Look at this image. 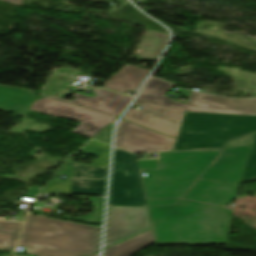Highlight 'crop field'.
Returning <instances> with one entry per match:
<instances>
[{"instance_id":"obj_1","label":"crop field","mask_w":256,"mask_h":256,"mask_svg":"<svg viewBox=\"0 0 256 256\" xmlns=\"http://www.w3.org/2000/svg\"><path fill=\"white\" fill-rule=\"evenodd\" d=\"M157 244H223L232 210L180 200L174 206L150 207Z\"/></svg>"},{"instance_id":"obj_2","label":"crop field","mask_w":256,"mask_h":256,"mask_svg":"<svg viewBox=\"0 0 256 256\" xmlns=\"http://www.w3.org/2000/svg\"><path fill=\"white\" fill-rule=\"evenodd\" d=\"M100 228L28 216L19 246L33 256H85L98 251Z\"/></svg>"},{"instance_id":"obj_3","label":"crop field","mask_w":256,"mask_h":256,"mask_svg":"<svg viewBox=\"0 0 256 256\" xmlns=\"http://www.w3.org/2000/svg\"><path fill=\"white\" fill-rule=\"evenodd\" d=\"M221 150L160 154V170H143L147 198L181 197Z\"/></svg>"},{"instance_id":"obj_4","label":"crop field","mask_w":256,"mask_h":256,"mask_svg":"<svg viewBox=\"0 0 256 256\" xmlns=\"http://www.w3.org/2000/svg\"><path fill=\"white\" fill-rule=\"evenodd\" d=\"M175 150L223 147L230 139L256 132V116L185 114Z\"/></svg>"},{"instance_id":"obj_5","label":"crop field","mask_w":256,"mask_h":256,"mask_svg":"<svg viewBox=\"0 0 256 256\" xmlns=\"http://www.w3.org/2000/svg\"><path fill=\"white\" fill-rule=\"evenodd\" d=\"M173 85L150 78L138 99L193 112L256 115V99H229L211 94L193 92L190 101L177 103L165 96Z\"/></svg>"},{"instance_id":"obj_6","label":"crop field","mask_w":256,"mask_h":256,"mask_svg":"<svg viewBox=\"0 0 256 256\" xmlns=\"http://www.w3.org/2000/svg\"><path fill=\"white\" fill-rule=\"evenodd\" d=\"M108 146L92 141L80 151L99 158L90 166L68 162L71 179L62 181L56 177L44 192L104 196L108 171Z\"/></svg>"},{"instance_id":"obj_7","label":"crop field","mask_w":256,"mask_h":256,"mask_svg":"<svg viewBox=\"0 0 256 256\" xmlns=\"http://www.w3.org/2000/svg\"><path fill=\"white\" fill-rule=\"evenodd\" d=\"M110 206L146 207L137 157L117 148Z\"/></svg>"},{"instance_id":"obj_8","label":"crop field","mask_w":256,"mask_h":256,"mask_svg":"<svg viewBox=\"0 0 256 256\" xmlns=\"http://www.w3.org/2000/svg\"><path fill=\"white\" fill-rule=\"evenodd\" d=\"M32 110L55 117H66L81 121L72 132L92 138L117 117L101 114L50 98L37 100Z\"/></svg>"},{"instance_id":"obj_9","label":"crop field","mask_w":256,"mask_h":256,"mask_svg":"<svg viewBox=\"0 0 256 256\" xmlns=\"http://www.w3.org/2000/svg\"><path fill=\"white\" fill-rule=\"evenodd\" d=\"M135 104L141 105L139 110L129 109L125 120L142 125L144 127L177 137L184 111L156 105L142 100H135Z\"/></svg>"},{"instance_id":"obj_10","label":"crop field","mask_w":256,"mask_h":256,"mask_svg":"<svg viewBox=\"0 0 256 256\" xmlns=\"http://www.w3.org/2000/svg\"><path fill=\"white\" fill-rule=\"evenodd\" d=\"M151 228L146 208L109 207L106 246Z\"/></svg>"},{"instance_id":"obj_11","label":"crop field","mask_w":256,"mask_h":256,"mask_svg":"<svg viewBox=\"0 0 256 256\" xmlns=\"http://www.w3.org/2000/svg\"><path fill=\"white\" fill-rule=\"evenodd\" d=\"M174 140L122 120L115 146L134 153L172 151Z\"/></svg>"},{"instance_id":"obj_12","label":"crop field","mask_w":256,"mask_h":256,"mask_svg":"<svg viewBox=\"0 0 256 256\" xmlns=\"http://www.w3.org/2000/svg\"><path fill=\"white\" fill-rule=\"evenodd\" d=\"M250 148H224L220 157L201 178L232 186H239Z\"/></svg>"},{"instance_id":"obj_13","label":"crop field","mask_w":256,"mask_h":256,"mask_svg":"<svg viewBox=\"0 0 256 256\" xmlns=\"http://www.w3.org/2000/svg\"><path fill=\"white\" fill-rule=\"evenodd\" d=\"M94 91L97 95L95 98L76 93L74 94L76 99L73 102L54 96L50 98L113 116L120 115L131 100V97L116 94L104 89H94Z\"/></svg>"},{"instance_id":"obj_14","label":"crop field","mask_w":256,"mask_h":256,"mask_svg":"<svg viewBox=\"0 0 256 256\" xmlns=\"http://www.w3.org/2000/svg\"><path fill=\"white\" fill-rule=\"evenodd\" d=\"M238 188L199 179L183 198L224 206L236 198Z\"/></svg>"},{"instance_id":"obj_15","label":"crop field","mask_w":256,"mask_h":256,"mask_svg":"<svg viewBox=\"0 0 256 256\" xmlns=\"http://www.w3.org/2000/svg\"><path fill=\"white\" fill-rule=\"evenodd\" d=\"M36 96L33 91L0 85V111L27 116Z\"/></svg>"},{"instance_id":"obj_16","label":"crop field","mask_w":256,"mask_h":256,"mask_svg":"<svg viewBox=\"0 0 256 256\" xmlns=\"http://www.w3.org/2000/svg\"><path fill=\"white\" fill-rule=\"evenodd\" d=\"M149 70L127 64L111 77L104 87L123 93L136 91L148 75Z\"/></svg>"},{"instance_id":"obj_17","label":"crop field","mask_w":256,"mask_h":256,"mask_svg":"<svg viewBox=\"0 0 256 256\" xmlns=\"http://www.w3.org/2000/svg\"><path fill=\"white\" fill-rule=\"evenodd\" d=\"M169 39L168 35L148 29L137 53L139 57L159 58Z\"/></svg>"},{"instance_id":"obj_18","label":"crop field","mask_w":256,"mask_h":256,"mask_svg":"<svg viewBox=\"0 0 256 256\" xmlns=\"http://www.w3.org/2000/svg\"><path fill=\"white\" fill-rule=\"evenodd\" d=\"M155 242L153 232L150 231L126 242L105 250L104 256H130L133 253Z\"/></svg>"},{"instance_id":"obj_19","label":"crop field","mask_w":256,"mask_h":256,"mask_svg":"<svg viewBox=\"0 0 256 256\" xmlns=\"http://www.w3.org/2000/svg\"><path fill=\"white\" fill-rule=\"evenodd\" d=\"M253 145V148L248 155L244 173L242 176L241 183L249 182L256 180V134L250 135L248 137L235 140L229 143L228 147L231 146H250ZM240 183V184H241Z\"/></svg>"},{"instance_id":"obj_20","label":"crop field","mask_w":256,"mask_h":256,"mask_svg":"<svg viewBox=\"0 0 256 256\" xmlns=\"http://www.w3.org/2000/svg\"><path fill=\"white\" fill-rule=\"evenodd\" d=\"M21 224L0 222V249L10 250L14 247Z\"/></svg>"},{"instance_id":"obj_21","label":"crop field","mask_w":256,"mask_h":256,"mask_svg":"<svg viewBox=\"0 0 256 256\" xmlns=\"http://www.w3.org/2000/svg\"><path fill=\"white\" fill-rule=\"evenodd\" d=\"M89 200L94 205V210L90 215L79 217V218H72L68 216H64L62 218L101 225L104 199L89 198Z\"/></svg>"},{"instance_id":"obj_22","label":"crop field","mask_w":256,"mask_h":256,"mask_svg":"<svg viewBox=\"0 0 256 256\" xmlns=\"http://www.w3.org/2000/svg\"><path fill=\"white\" fill-rule=\"evenodd\" d=\"M178 199L146 200L147 206L175 204Z\"/></svg>"},{"instance_id":"obj_23","label":"crop field","mask_w":256,"mask_h":256,"mask_svg":"<svg viewBox=\"0 0 256 256\" xmlns=\"http://www.w3.org/2000/svg\"><path fill=\"white\" fill-rule=\"evenodd\" d=\"M111 131H112V126H110L109 128H107L103 133H101L97 138H95V140H99L105 143H109L110 144V140H111Z\"/></svg>"},{"instance_id":"obj_24","label":"crop field","mask_w":256,"mask_h":256,"mask_svg":"<svg viewBox=\"0 0 256 256\" xmlns=\"http://www.w3.org/2000/svg\"><path fill=\"white\" fill-rule=\"evenodd\" d=\"M139 167L140 169H155L157 168L156 160H144L139 161Z\"/></svg>"},{"instance_id":"obj_25","label":"crop field","mask_w":256,"mask_h":256,"mask_svg":"<svg viewBox=\"0 0 256 256\" xmlns=\"http://www.w3.org/2000/svg\"><path fill=\"white\" fill-rule=\"evenodd\" d=\"M37 187H33L25 196L26 197H35L40 191L36 190Z\"/></svg>"},{"instance_id":"obj_26","label":"crop field","mask_w":256,"mask_h":256,"mask_svg":"<svg viewBox=\"0 0 256 256\" xmlns=\"http://www.w3.org/2000/svg\"><path fill=\"white\" fill-rule=\"evenodd\" d=\"M4 1L11 2V3L22 6V0H4Z\"/></svg>"},{"instance_id":"obj_27","label":"crop field","mask_w":256,"mask_h":256,"mask_svg":"<svg viewBox=\"0 0 256 256\" xmlns=\"http://www.w3.org/2000/svg\"><path fill=\"white\" fill-rule=\"evenodd\" d=\"M62 175H68L69 176V172H68V165H66V167L61 171Z\"/></svg>"},{"instance_id":"obj_28","label":"crop field","mask_w":256,"mask_h":256,"mask_svg":"<svg viewBox=\"0 0 256 256\" xmlns=\"http://www.w3.org/2000/svg\"><path fill=\"white\" fill-rule=\"evenodd\" d=\"M88 1H91V2H100L101 0H88Z\"/></svg>"},{"instance_id":"obj_29","label":"crop field","mask_w":256,"mask_h":256,"mask_svg":"<svg viewBox=\"0 0 256 256\" xmlns=\"http://www.w3.org/2000/svg\"><path fill=\"white\" fill-rule=\"evenodd\" d=\"M92 256H97V253H96V254H94V255H92Z\"/></svg>"}]
</instances>
